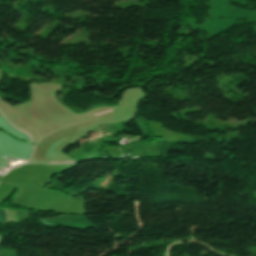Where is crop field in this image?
<instances>
[{"instance_id":"crop-field-2","label":"crop field","mask_w":256,"mask_h":256,"mask_svg":"<svg viewBox=\"0 0 256 256\" xmlns=\"http://www.w3.org/2000/svg\"><path fill=\"white\" fill-rule=\"evenodd\" d=\"M107 111H105V112H102V113H99V114H103V113H106ZM99 114H96V115H99ZM96 115H93V116H96ZM93 116H90V117H93ZM89 117V118H90Z\"/></svg>"},{"instance_id":"crop-field-1","label":"crop field","mask_w":256,"mask_h":256,"mask_svg":"<svg viewBox=\"0 0 256 256\" xmlns=\"http://www.w3.org/2000/svg\"><path fill=\"white\" fill-rule=\"evenodd\" d=\"M0 222H6L5 213L3 208H0Z\"/></svg>"}]
</instances>
